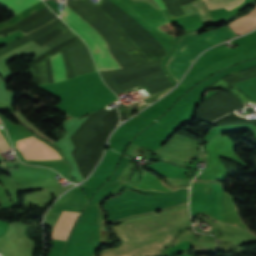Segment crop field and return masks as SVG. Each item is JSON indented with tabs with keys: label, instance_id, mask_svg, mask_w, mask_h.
Here are the masks:
<instances>
[{
	"label": "crop field",
	"instance_id": "8a807250",
	"mask_svg": "<svg viewBox=\"0 0 256 256\" xmlns=\"http://www.w3.org/2000/svg\"><path fill=\"white\" fill-rule=\"evenodd\" d=\"M201 31H195L179 39L176 51L166 64L167 72L177 83L198 54L218 42L235 37L228 26L196 35Z\"/></svg>",
	"mask_w": 256,
	"mask_h": 256
},
{
	"label": "crop field",
	"instance_id": "ac0d7876",
	"mask_svg": "<svg viewBox=\"0 0 256 256\" xmlns=\"http://www.w3.org/2000/svg\"><path fill=\"white\" fill-rule=\"evenodd\" d=\"M61 18L85 40L100 71L121 69L110 55L106 41L85 21L71 11L68 6Z\"/></svg>",
	"mask_w": 256,
	"mask_h": 256
},
{
	"label": "crop field",
	"instance_id": "34b2d1b8",
	"mask_svg": "<svg viewBox=\"0 0 256 256\" xmlns=\"http://www.w3.org/2000/svg\"><path fill=\"white\" fill-rule=\"evenodd\" d=\"M17 148L26 160L61 158L54 149L43 144L33 136L18 141Z\"/></svg>",
	"mask_w": 256,
	"mask_h": 256
},
{
	"label": "crop field",
	"instance_id": "412701ff",
	"mask_svg": "<svg viewBox=\"0 0 256 256\" xmlns=\"http://www.w3.org/2000/svg\"><path fill=\"white\" fill-rule=\"evenodd\" d=\"M79 213L63 211L56 223L51 237L55 239L66 240Z\"/></svg>",
	"mask_w": 256,
	"mask_h": 256
},
{
	"label": "crop field",
	"instance_id": "f4fd0767",
	"mask_svg": "<svg viewBox=\"0 0 256 256\" xmlns=\"http://www.w3.org/2000/svg\"><path fill=\"white\" fill-rule=\"evenodd\" d=\"M231 29L240 35L256 27V6L245 16H242L230 24Z\"/></svg>",
	"mask_w": 256,
	"mask_h": 256
},
{
	"label": "crop field",
	"instance_id": "dd49c442",
	"mask_svg": "<svg viewBox=\"0 0 256 256\" xmlns=\"http://www.w3.org/2000/svg\"><path fill=\"white\" fill-rule=\"evenodd\" d=\"M50 59L53 72V82L56 83L66 80L64 65L60 53L50 57Z\"/></svg>",
	"mask_w": 256,
	"mask_h": 256
},
{
	"label": "crop field",
	"instance_id": "e52e79f7",
	"mask_svg": "<svg viewBox=\"0 0 256 256\" xmlns=\"http://www.w3.org/2000/svg\"><path fill=\"white\" fill-rule=\"evenodd\" d=\"M41 0H0V4L5 6L14 15L21 10L39 2Z\"/></svg>",
	"mask_w": 256,
	"mask_h": 256
},
{
	"label": "crop field",
	"instance_id": "d8731c3e",
	"mask_svg": "<svg viewBox=\"0 0 256 256\" xmlns=\"http://www.w3.org/2000/svg\"><path fill=\"white\" fill-rule=\"evenodd\" d=\"M45 7L44 3L41 1L39 3H37L36 5L18 13L17 15H15L14 17H12L11 19L1 22L0 23V30L7 28L13 24H15L16 22H18L19 20L31 15L32 13L36 12L37 10L41 9Z\"/></svg>",
	"mask_w": 256,
	"mask_h": 256
},
{
	"label": "crop field",
	"instance_id": "5a996713",
	"mask_svg": "<svg viewBox=\"0 0 256 256\" xmlns=\"http://www.w3.org/2000/svg\"><path fill=\"white\" fill-rule=\"evenodd\" d=\"M209 10L224 7L231 9L243 2V0H204ZM230 11V10H229Z\"/></svg>",
	"mask_w": 256,
	"mask_h": 256
},
{
	"label": "crop field",
	"instance_id": "3316defc",
	"mask_svg": "<svg viewBox=\"0 0 256 256\" xmlns=\"http://www.w3.org/2000/svg\"><path fill=\"white\" fill-rule=\"evenodd\" d=\"M254 40H256V31H254V32H252V33H250L246 36H243L239 39L232 40V41H234L236 43H239L241 45H244V44L249 43V42L254 41Z\"/></svg>",
	"mask_w": 256,
	"mask_h": 256
},
{
	"label": "crop field",
	"instance_id": "28ad6ade",
	"mask_svg": "<svg viewBox=\"0 0 256 256\" xmlns=\"http://www.w3.org/2000/svg\"><path fill=\"white\" fill-rule=\"evenodd\" d=\"M7 149H10V148H9L8 144L6 143V141L4 140V138L2 137V135L0 133V152L2 150H7Z\"/></svg>",
	"mask_w": 256,
	"mask_h": 256
},
{
	"label": "crop field",
	"instance_id": "d1516ede",
	"mask_svg": "<svg viewBox=\"0 0 256 256\" xmlns=\"http://www.w3.org/2000/svg\"><path fill=\"white\" fill-rule=\"evenodd\" d=\"M155 1H156V3H157L162 9H165V8H166L165 5L162 3L161 0H155Z\"/></svg>",
	"mask_w": 256,
	"mask_h": 256
},
{
	"label": "crop field",
	"instance_id": "22f410ed",
	"mask_svg": "<svg viewBox=\"0 0 256 256\" xmlns=\"http://www.w3.org/2000/svg\"><path fill=\"white\" fill-rule=\"evenodd\" d=\"M66 5H68V1L66 0Z\"/></svg>",
	"mask_w": 256,
	"mask_h": 256
}]
</instances>
